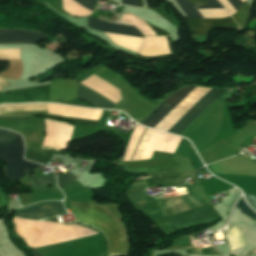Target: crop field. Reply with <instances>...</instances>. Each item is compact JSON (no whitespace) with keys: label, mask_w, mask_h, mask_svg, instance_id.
I'll return each mask as SVG.
<instances>
[{"label":"crop field","mask_w":256,"mask_h":256,"mask_svg":"<svg viewBox=\"0 0 256 256\" xmlns=\"http://www.w3.org/2000/svg\"><path fill=\"white\" fill-rule=\"evenodd\" d=\"M239 209L243 210L244 212H246L247 214H249L250 216L256 218V214L255 212L250 208L248 207L244 201H242L241 199L239 200L237 206Z\"/></svg>","instance_id":"obj_16"},{"label":"crop field","mask_w":256,"mask_h":256,"mask_svg":"<svg viewBox=\"0 0 256 256\" xmlns=\"http://www.w3.org/2000/svg\"><path fill=\"white\" fill-rule=\"evenodd\" d=\"M69 203L78 222L92 225L105 234L109 244V256L124 254L120 226L106 208L88 203Z\"/></svg>","instance_id":"obj_1"},{"label":"crop field","mask_w":256,"mask_h":256,"mask_svg":"<svg viewBox=\"0 0 256 256\" xmlns=\"http://www.w3.org/2000/svg\"><path fill=\"white\" fill-rule=\"evenodd\" d=\"M225 236L230 244V251L246 245L243 235L235 226Z\"/></svg>","instance_id":"obj_11"},{"label":"crop field","mask_w":256,"mask_h":256,"mask_svg":"<svg viewBox=\"0 0 256 256\" xmlns=\"http://www.w3.org/2000/svg\"><path fill=\"white\" fill-rule=\"evenodd\" d=\"M180 88L168 94L141 122V124L152 128L190 89ZM225 90L212 88L191 110H189L169 131L180 135L196 118Z\"/></svg>","instance_id":"obj_2"},{"label":"crop field","mask_w":256,"mask_h":256,"mask_svg":"<svg viewBox=\"0 0 256 256\" xmlns=\"http://www.w3.org/2000/svg\"><path fill=\"white\" fill-rule=\"evenodd\" d=\"M24 154V144L21 136L7 144L0 145V159L7 164L5 176L10 180H17L40 165L26 162L22 156Z\"/></svg>","instance_id":"obj_5"},{"label":"crop field","mask_w":256,"mask_h":256,"mask_svg":"<svg viewBox=\"0 0 256 256\" xmlns=\"http://www.w3.org/2000/svg\"><path fill=\"white\" fill-rule=\"evenodd\" d=\"M77 177L74 176L72 173L68 172L60 177H58V186L60 188L70 184L73 182Z\"/></svg>","instance_id":"obj_14"},{"label":"crop field","mask_w":256,"mask_h":256,"mask_svg":"<svg viewBox=\"0 0 256 256\" xmlns=\"http://www.w3.org/2000/svg\"><path fill=\"white\" fill-rule=\"evenodd\" d=\"M15 136H16V133L10 132L5 129H0V144H4L13 140Z\"/></svg>","instance_id":"obj_15"},{"label":"crop field","mask_w":256,"mask_h":256,"mask_svg":"<svg viewBox=\"0 0 256 256\" xmlns=\"http://www.w3.org/2000/svg\"><path fill=\"white\" fill-rule=\"evenodd\" d=\"M185 15L203 18L196 9H211L223 8L217 0H205L209 6H195L193 5H207L204 0H176ZM184 17L185 21L192 33V35L207 36V33L212 28H237L231 17L224 19H197L191 17Z\"/></svg>","instance_id":"obj_4"},{"label":"crop field","mask_w":256,"mask_h":256,"mask_svg":"<svg viewBox=\"0 0 256 256\" xmlns=\"http://www.w3.org/2000/svg\"><path fill=\"white\" fill-rule=\"evenodd\" d=\"M49 86H39L0 93L1 103L48 102Z\"/></svg>","instance_id":"obj_6"},{"label":"crop field","mask_w":256,"mask_h":256,"mask_svg":"<svg viewBox=\"0 0 256 256\" xmlns=\"http://www.w3.org/2000/svg\"><path fill=\"white\" fill-rule=\"evenodd\" d=\"M140 1V6H143V0ZM139 1L138 0H123L122 4H129L133 6H139Z\"/></svg>","instance_id":"obj_20"},{"label":"crop field","mask_w":256,"mask_h":256,"mask_svg":"<svg viewBox=\"0 0 256 256\" xmlns=\"http://www.w3.org/2000/svg\"><path fill=\"white\" fill-rule=\"evenodd\" d=\"M146 24L153 30V32L156 34V35H169L168 33H166L165 31L149 24L146 22Z\"/></svg>","instance_id":"obj_19"},{"label":"crop field","mask_w":256,"mask_h":256,"mask_svg":"<svg viewBox=\"0 0 256 256\" xmlns=\"http://www.w3.org/2000/svg\"><path fill=\"white\" fill-rule=\"evenodd\" d=\"M78 81L56 80L51 82L49 102L59 103L77 99ZM78 99L89 102L97 108L109 109L115 101L79 81Z\"/></svg>","instance_id":"obj_3"},{"label":"crop field","mask_w":256,"mask_h":256,"mask_svg":"<svg viewBox=\"0 0 256 256\" xmlns=\"http://www.w3.org/2000/svg\"><path fill=\"white\" fill-rule=\"evenodd\" d=\"M77 3L83 5L88 10L92 11L94 10L96 6V0H75Z\"/></svg>","instance_id":"obj_17"},{"label":"crop field","mask_w":256,"mask_h":256,"mask_svg":"<svg viewBox=\"0 0 256 256\" xmlns=\"http://www.w3.org/2000/svg\"><path fill=\"white\" fill-rule=\"evenodd\" d=\"M63 210L61 203H51L36 206L33 208L26 209L24 211L17 212L16 215L31 220H39L59 214ZM38 251V250H37ZM34 249L35 256H42L39 252Z\"/></svg>","instance_id":"obj_8"},{"label":"crop field","mask_w":256,"mask_h":256,"mask_svg":"<svg viewBox=\"0 0 256 256\" xmlns=\"http://www.w3.org/2000/svg\"><path fill=\"white\" fill-rule=\"evenodd\" d=\"M86 27L106 33L144 38L142 33L135 27L107 23L92 18H87Z\"/></svg>","instance_id":"obj_7"},{"label":"crop field","mask_w":256,"mask_h":256,"mask_svg":"<svg viewBox=\"0 0 256 256\" xmlns=\"http://www.w3.org/2000/svg\"><path fill=\"white\" fill-rule=\"evenodd\" d=\"M247 197V201L249 202V204L256 209V197L253 195H246Z\"/></svg>","instance_id":"obj_21"},{"label":"crop field","mask_w":256,"mask_h":256,"mask_svg":"<svg viewBox=\"0 0 256 256\" xmlns=\"http://www.w3.org/2000/svg\"><path fill=\"white\" fill-rule=\"evenodd\" d=\"M47 110L45 104L6 105L0 106V114L14 111Z\"/></svg>","instance_id":"obj_12"},{"label":"crop field","mask_w":256,"mask_h":256,"mask_svg":"<svg viewBox=\"0 0 256 256\" xmlns=\"http://www.w3.org/2000/svg\"><path fill=\"white\" fill-rule=\"evenodd\" d=\"M45 37L46 35L35 32L0 30V43H29L35 45Z\"/></svg>","instance_id":"obj_9"},{"label":"crop field","mask_w":256,"mask_h":256,"mask_svg":"<svg viewBox=\"0 0 256 256\" xmlns=\"http://www.w3.org/2000/svg\"><path fill=\"white\" fill-rule=\"evenodd\" d=\"M167 38V41H168V45H169V50L171 52V54H168V55H162V56H155V57H144V56H140L139 54H137L138 57L140 58H148V59H156V58H164V57H168V56H171V55H174V51L171 47V40L169 37H166Z\"/></svg>","instance_id":"obj_18"},{"label":"crop field","mask_w":256,"mask_h":256,"mask_svg":"<svg viewBox=\"0 0 256 256\" xmlns=\"http://www.w3.org/2000/svg\"><path fill=\"white\" fill-rule=\"evenodd\" d=\"M30 182H31L32 187L39 186V185H44V184H49V183H54V182H56L55 174L49 175V176H46V177H43V178H39V179H33V180H30Z\"/></svg>","instance_id":"obj_13"},{"label":"crop field","mask_w":256,"mask_h":256,"mask_svg":"<svg viewBox=\"0 0 256 256\" xmlns=\"http://www.w3.org/2000/svg\"><path fill=\"white\" fill-rule=\"evenodd\" d=\"M232 7L238 12L239 8L242 6V1L241 0H227ZM248 5L245 1L243 4L242 8L238 13H236L233 17L235 23L237 24L238 28H241L243 23L245 22L248 14Z\"/></svg>","instance_id":"obj_10"}]
</instances>
